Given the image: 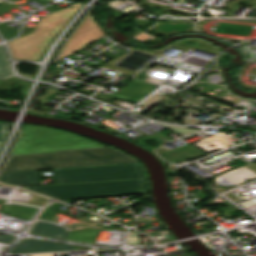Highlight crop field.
I'll list each match as a JSON object with an SVG mask.
<instances>
[{"label":"crop field","instance_id":"15","mask_svg":"<svg viewBox=\"0 0 256 256\" xmlns=\"http://www.w3.org/2000/svg\"><path fill=\"white\" fill-rule=\"evenodd\" d=\"M13 237L7 236V237H0V242L2 243H9Z\"/></svg>","mask_w":256,"mask_h":256},{"label":"crop field","instance_id":"4","mask_svg":"<svg viewBox=\"0 0 256 256\" xmlns=\"http://www.w3.org/2000/svg\"><path fill=\"white\" fill-rule=\"evenodd\" d=\"M68 20L33 31L32 34L8 42L15 60H39L49 42ZM52 34V36L47 35Z\"/></svg>","mask_w":256,"mask_h":256},{"label":"crop field","instance_id":"10","mask_svg":"<svg viewBox=\"0 0 256 256\" xmlns=\"http://www.w3.org/2000/svg\"><path fill=\"white\" fill-rule=\"evenodd\" d=\"M30 233L62 239H66L69 235L68 232H65V228L63 227L42 222L35 223Z\"/></svg>","mask_w":256,"mask_h":256},{"label":"crop field","instance_id":"8","mask_svg":"<svg viewBox=\"0 0 256 256\" xmlns=\"http://www.w3.org/2000/svg\"><path fill=\"white\" fill-rule=\"evenodd\" d=\"M22 130V134L17 140L79 136L43 126L24 125Z\"/></svg>","mask_w":256,"mask_h":256},{"label":"crop field","instance_id":"14","mask_svg":"<svg viewBox=\"0 0 256 256\" xmlns=\"http://www.w3.org/2000/svg\"><path fill=\"white\" fill-rule=\"evenodd\" d=\"M9 125L10 124L0 123V149L5 140Z\"/></svg>","mask_w":256,"mask_h":256},{"label":"crop field","instance_id":"3","mask_svg":"<svg viewBox=\"0 0 256 256\" xmlns=\"http://www.w3.org/2000/svg\"><path fill=\"white\" fill-rule=\"evenodd\" d=\"M56 184L147 178L141 164L53 170Z\"/></svg>","mask_w":256,"mask_h":256},{"label":"crop field","instance_id":"13","mask_svg":"<svg viewBox=\"0 0 256 256\" xmlns=\"http://www.w3.org/2000/svg\"><path fill=\"white\" fill-rule=\"evenodd\" d=\"M14 74L10 64L7 62L2 46L0 45V78Z\"/></svg>","mask_w":256,"mask_h":256},{"label":"crop field","instance_id":"7","mask_svg":"<svg viewBox=\"0 0 256 256\" xmlns=\"http://www.w3.org/2000/svg\"><path fill=\"white\" fill-rule=\"evenodd\" d=\"M106 147L99 142L14 147L10 155L48 153L56 150Z\"/></svg>","mask_w":256,"mask_h":256},{"label":"crop field","instance_id":"5","mask_svg":"<svg viewBox=\"0 0 256 256\" xmlns=\"http://www.w3.org/2000/svg\"><path fill=\"white\" fill-rule=\"evenodd\" d=\"M104 35H106L104 31L89 14L71 36L61 51L57 61L94 42Z\"/></svg>","mask_w":256,"mask_h":256},{"label":"crop field","instance_id":"9","mask_svg":"<svg viewBox=\"0 0 256 256\" xmlns=\"http://www.w3.org/2000/svg\"><path fill=\"white\" fill-rule=\"evenodd\" d=\"M0 182L14 186L39 184L36 171L1 173Z\"/></svg>","mask_w":256,"mask_h":256},{"label":"crop field","instance_id":"12","mask_svg":"<svg viewBox=\"0 0 256 256\" xmlns=\"http://www.w3.org/2000/svg\"><path fill=\"white\" fill-rule=\"evenodd\" d=\"M92 141L82 137H72V138H56V139H38V140H21L16 141L14 146H24V145H40V144H56V143H72V142H88Z\"/></svg>","mask_w":256,"mask_h":256},{"label":"crop field","instance_id":"2","mask_svg":"<svg viewBox=\"0 0 256 256\" xmlns=\"http://www.w3.org/2000/svg\"><path fill=\"white\" fill-rule=\"evenodd\" d=\"M23 188L57 200L148 193L146 179Z\"/></svg>","mask_w":256,"mask_h":256},{"label":"crop field","instance_id":"1","mask_svg":"<svg viewBox=\"0 0 256 256\" xmlns=\"http://www.w3.org/2000/svg\"><path fill=\"white\" fill-rule=\"evenodd\" d=\"M133 162L138 161L113 147L65 150L48 154L10 156L1 172Z\"/></svg>","mask_w":256,"mask_h":256},{"label":"crop field","instance_id":"6","mask_svg":"<svg viewBox=\"0 0 256 256\" xmlns=\"http://www.w3.org/2000/svg\"><path fill=\"white\" fill-rule=\"evenodd\" d=\"M68 250H75V246H68V245H62V244L25 239L17 243L8 253L24 254V253H40V252H54V251H68Z\"/></svg>","mask_w":256,"mask_h":256},{"label":"crop field","instance_id":"11","mask_svg":"<svg viewBox=\"0 0 256 256\" xmlns=\"http://www.w3.org/2000/svg\"><path fill=\"white\" fill-rule=\"evenodd\" d=\"M82 6H83L82 4H76L71 6L74 9L69 7L67 9L59 10L53 14L45 16L37 22L35 29L47 26L49 24H52L64 19L71 18Z\"/></svg>","mask_w":256,"mask_h":256}]
</instances>
